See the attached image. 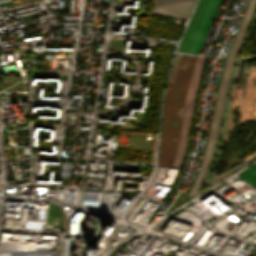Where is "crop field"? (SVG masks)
I'll return each mask as SVG.
<instances>
[{
    "mask_svg": "<svg viewBox=\"0 0 256 256\" xmlns=\"http://www.w3.org/2000/svg\"><path fill=\"white\" fill-rule=\"evenodd\" d=\"M195 0H155L153 14L187 19Z\"/></svg>",
    "mask_w": 256,
    "mask_h": 256,
    "instance_id": "412701ff",
    "label": "crop field"
},
{
    "mask_svg": "<svg viewBox=\"0 0 256 256\" xmlns=\"http://www.w3.org/2000/svg\"><path fill=\"white\" fill-rule=\"evenodd\" d=\"M204 60H205V58H201V57L197 58L195 68H194L193 74L191 76L188 97H187L185 117H184L183 130H182V135H181V139H180L178 155L176 154L177 159L175 157V159H176L175 166L173 163L174 167H180L182 164V161L184 159L192 113H193V109H194L195 99H196V95H197V90H198V86H199V81H200V77H201V73H202ZM174 162H175V160H174Z\"/></svg>",
    "mask_w": 256,
    "mask_h": 256,
    "instance_id": "34b2d1b8",
    "label": "crop field"
},
{
    "mask_svg": "<svg viewBox=\"0 0 256 256\" xmlns=\"http://www.w3.org/2000/svg\"><path fill=\"white\" fill-rule=\"evenodd\" d=\"M256 188V164L237 174Z\"/></svg>",
    "mask_w": 256,
    "mask_h": 256,
    "instance_id": "e52e79f7",
    "label": "crop field"
},
{
    "mask_svg": "<svg viewBox=\"0 0 256 256\" xmlns=\"http://www.w3.org/2000/svg\"><path fill=\"white\" fill-rule=\"evenodd\" d=\"M204 1H205V0H200L198 6H197V8H196V10H195V12H194V14H193V16H192V19H191V21H190V23H189V26H188V28H187V30H186V32H185V34H184V36H183L181 42H180V48H179V50H183V49H184V47H185V45H186V42H187V40H188V38H189V36H190V33H191V31H192V29H193V27H194L195 21H196L198 15H199V13H200L202 7H203Z\"/></svg>",
    "mask_w": 256,
    "mask_h": 256,
    "instance_id": "dd49c442",
    "label": "crop field"
},
{
    "mask_svg": "<svg viewBox=\"0 0 256 256\" xmlns=\"http://www.w3.org/2000/svg\"><path fill=\"white\" fill-rule=\"evenodd\" d=\"M221 0H209L187 52L198 54Z\"/></svg>",
    "mask_w": 256,
    "mask_h": 256,
    "instance_id": "f4fd0767",
    "label": "crop field"
},
{
    "mask_svg": "<svg viewBox=\"0 0 256 256\" xmlns=\"http://www.w3.org/2000/svg\"><path fill=\"white\" fill-rule=\"evenodd\" d=\"M196 58L182 55L174 84L167 83L161 126L159 166H172L182 130L189 80Z\"/></svg>",
    "mask_w": 256,
    "mask_h": 256,
    "instance_id": "8a807250",
    "label": "crop field"
},
{
    "mask_svg": "<svg viewBox=\"0 0 256 256\" xmlns=\"http://www.w3.org/2000/svg\"><path fill=\"white\" fill-rule=\"evenodd\" d=\"M207 2H208V0L205 1L204 7H203V9H202V11H201V13H200V15H199V17H198V20H197V22H196L195 28H194V30H193V32H192L190 38H189L188 44H187L186 49H185L184 52H186L187 49H188V47H189V44H190V42H191V39H192V37H193V35H194V32H195V30H196V27H197V25H198V23H199V20H200V18H201V15H202V13H203V11H204V8H205Z\"/></svg>",
    "mask_w": 256,
    "mask_h": 256,
    "instance_id": "d8731c3e",
    "label": "crop field"
},
{
    "mask_svg": "<svg viewBox=\"0 0 256 256\" xmlns=\"http://www.w3.org/2000/svg\"><path fill=\"white\" fill-rule=\"evenodd\" d=\"M255 3H256V0H250L248 7L246 9V12L244 14V17L242 19V22L240 24L239 30L237 32V35L235 37V40L233 42V45L231 47V50L229 52V55L227 57L223 76L221 79V83H220V87H219V91H218V95H217V100H216V105H215V110H214V115H213V120H212V125H211V129H210V134H209V139H208V143H207L205 156H204V159L200 166V169L198 171V174L196 176V179L193 183V186L191 188L189 196L197 193L199 186L201 184V181L204 177V174H205V171H206V168H207L210 156H211L212 148H213V143H214V139H215V135H216V130H217V126H218V121H219V116H220V111H221V106H222V101H223V96H224L228 76L230 73L232 61L236 55L237 49L241 42L242 36H243L246 26L248 24V21L251 16V13L253 11Z\"/></svg>",
    "mask_w": 256,
    "mask_h": 256,
    "instance_id": "ac0d7876",
    "label": "crop field"
}]
</instances>
